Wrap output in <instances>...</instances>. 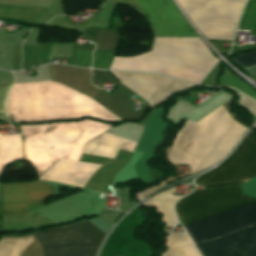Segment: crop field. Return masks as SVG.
<instances>
[{
    "label": "crop field",
    "instance_id": "1",
    "mask_svg": "<svg viewBox=\"0 0 256 256\" xmlns=\"http://www.w3.org/2000/svg\"><path fill=\"white\" fill-rule=\"evenodd\" d=\"M149 21L156 36L198 37L171 0H120ZM199 38H155L151 52L114 57L109 69L150 71L197 84L216 63Z\"/></svg>",
    "mask_w": 256,
    "mask_h": 256
},
{
    "label": "crop field",
    "instance_id": "2",
    "mask_svg": "<svg viewBox=\"0 0 256 256\" xmlns=\"http://www.w3.org/2000/svg\"><path fill=\"white\" fill-rule=\"evenodd\" d=\"M255 200L241 194L238 186L195 190L194 193L180 199L175 205V210L183 225ZM253 223H256V201L210 218L188 223L183 227L196 243L225 235Z\"/></svg>",
    "mask_w": 256,
    "mask_h": 256
},
{
    "label": "crop field",
    "instance_id": "3",
    "mask_svg": "<svg viewBox=\"0 0 256 256\" xmlns=\"http://www.w3.org/2000/svg\"><path fill=\"white\" fill-rule=\"evenodd\" d=\"M245 130L221 105L197 123L187 121L168 159L173 163H188L190 173L203 169L225 157Z\"/></svg>",
    "mask_w": 256,
    "mask_h": 256
},
{
    "label": "crop field",
    "instance_id": "4",
    "mask_svg": "<svg viewBox=\"0 0 256 256\" xmlns=\"http://www.w3.org/2000/svg\"><path fill=\"white\" fill-rule=\"evenodd\" d=\"M207 38L232 40L246 0H177Z\"/></svg>",
    "mask_w": 256,
    "mask_h": 256
},
{
    "label": "crop field",
    "instance_id": "5",
    "mask_svg": "<svg viewBox=\"0 0 256 256\" xmlns=\"http://www.w3.org/2000/svg\"><path fill=\"white\" fill-rule=\"evenodd\" d=\"M34 235L45 256H94L104 233L87 221Z\"/></svg>",
    "mask_w": 256,
    "mask_h": 256
},
{
    "label": "crop field",
    "instance_id": "6",
    "mask_svg": "<svg viewBox=\"0 0 256 256\" xmlns=\"http://www.w3.org/2000/svg\"><path fill=\"white\" fill-rule=\"evenodd\" d=\"M255 175L256 141L248 134L225 162L198 177L195 184L205 185L238 179L248 180Z\"/></svg>",
    "mask_w": 256,
    "mask_h": 256
},
{
    "label": "crop field",
    "instance_id": "7",
    "mask_svg": "<svg viewBox=\"0 0 256 256\" xmlns=\"http://www.w3.org/2000/svg\"><path fill=\"white\" fill-rule=\"evenodd\" d=\"M53 192L52 186L40 182L0 185L1 215L26 214L28 205L42 202Z\"/></svg>",
    "mask_w": 256,
    "mask_h": 256
},
{
    "label": "crop field",
    "instance_id": "8",
    "mask_svg": "<svg viewBox=\"0 0 256 256\" xmlns=\"http://www.w3.org/2000/svg\"><path fill=\"white\" fill-rule=\"evenodd\" d=\"M196 246L203 256H256V224Z\"/></svg>",
    "mask_w": 256,
    "mask_h": 256
},
{
    "label": "crop field",
    "instance_id": "9",
    "mask_svg": "<svg viewBox=\"0 0 256 256\" xmlns=\"http://www.w3.org/2000/svg\"><path fill=\"white\" fill-rule=\"evenodd\" d=\"M122 84L133 90L146 101L163 93L181 91L193 85L155 74L112 72Z\"/></svg>",
    "mask_w": 256,
    "mask_h": 256
},
{
    "label": "crop field",
    "instance_id": "10",
    "mask_svg": "<svg viewBox=\"0 0 256 256\" xmlns=\"http://www.w3.org/2000/svg\"><path fill=\"white\" fill-rule=\"evenodd\" d=\"M163 107L155 108L152 116L146 119L141 139L135 149V151H145L141 159L135 163V171L140 181L149 178L145 163L153 157V150L156 144L161 141L162 133L170 126L169 123L161 119V115L164 112Z\"/></svg>",
    "mask_w": 256,
    "mask_h": 256
},
{
    "label": "crop field",
    "instance_id": "11",
    "mask_svg": "<svg viewBox=\"0 0 256 256\" xmlns=\"http://www.w3.org/2000/svg\"><path fill=\"white\" fill-rule=\"evenodd\" d=\"M175 192V187L163 191L147 200L143 204H158V211L164 214V223L166 226H174L176 223V216L173 212V204L180 197H173L170 194Z\"/></svg>",
    "mask_w": 256,
    "mask_h": 256
},
{
    "label": "crop field",
    "instance_id": "12",
    "mask_svg": "<svg viewBox=\"0 0 256 256\" xmlns=\"http://www.w3.org/2000/svg\"><path fill=\"white\" fill-rule=\"evenodd\" d=\"M45 11L44 9L37 8L0 5V16L18 18L33 23H35Z\"/></svg>",
    "mask_w": 256,
    "mask_h": 256
},
{
    "label": "crop field",
    "instance_id": "13",
    "mask_svg": "<svg viewBox=\"0 0 256 256\" xmlns=\"http://www.w3.org/2000/svg\"><path fill=\"white\" fill-rule=\"evenodd\" d=\"M238 29L251 30L250 35L256 36V0L248 1L241 16Z\"/></svg>",
    "mask_w": 256,
    "mask_h": 256
},
{
    "label": "crop field",
    "instance_id": "14",
    "mask_svg": "<svg viewBox=\"0 0 256 256\" xmlns=\"http://www.w3.org/2000/svg\"><path fill=\"white\" fill-rule=\"evenodd\" d=\"M221 83L222 86L234 87L245 93L247 96L256 100V93L254 92V90L228 71H226L224 76L221 78Z\"/></svg>",
    "mask_w": 256,
    "mask_h": 256
},
{
    "label": "crop field",
    "instance_id": "15",
    "mask_svg": "<svg viewBox=\"0 0 256 256\" xmlns=\"http://www.w3.org/2000/svg\"><path fill=\"white\" fill-rule=\"evenodd\" d=\"M165 241L168 250L174 247L192 244L191 239L186 233H170V235L166 237Z\"/></svg>",
    "mask_w": 256,
    "mask_h": 256
},
{
    "label": "crop field",
    "instance_id": "16",
    "mask_svg": "<svg viewBox=\"0 0 256 256\" xmlns=\"http://www.w3.org/2000/svg\"><path fill=\"white\" fill-rule=\"evenodd\" d=\"M235 62L243 66V68L256 64V52L243 55L233 59ZM251 77L256 81V68L254 66L245 68Z\"/></svg>",
    "mask_w": 256,
    "mask_h": 256
},
{
    "label": "crop field",
    "instance_id": "17",
    "mask_svg": "<svg viewBox=\"0 0 256 256\" xmlns=\"http://www.w3.org/2000/svg\"><path fill=\"white\" fill-rule=\"evenodd\" d=\"M114 53L95 51L93 55L92 68L107 69Z\"/></svg>",
    "mask_w": 256,
    "mask_h": 256
},
{
    "label": "crop field",
    "instance_id": "18",
    "mask_svg": "<svg viewBox=\"0 0 256 256\" xmlns=\"http://www.w3.org/2000/svg\"><path fill=\"white\" fill-rule=\"evenodd\" d=\"M92 52L89 50L75 49L72 65L90 67Z\"/></svg>",
    "mask_w": 256,
    "mask_h": 256
},
{
    "label": "crop field",
    "instance_id": "19",
    "mask_svg": "<svg viewBox=\"0 0 256 256\" xmlns=\"http://www.w3.org/2000/svg\"><path fill=\"white\" fill-rule=\"evenodd\" d=\"M162 256H201L198 251L196 250L194 244L171 249L169 252L163 253Z\"/></svg>",
    "mask_w": 256,
    "mask_h": 256
},
{
    "label": "crop field",
    "instance_id": "20",
    "mask_svg": "<svg viewBox=\"0 0 256 256\" xmlns=\"http://www.w3.org/2000/svg\"><path fill=\"white\" fill-rule=\"evenodd\" d=\"M242 193L256 198V176L240 185Z\"/></svg>",
    "mask_w": 256,
    "mask_h": 256
},
{
    "label": "crop field",
    "instance_id": "21",
    "mask_svg": "<svg viewBox=\"0 0 256 256\" xmlns=\"http://www.w3.org/2000/svg\"><path fill=\"white\" fill-rule=\"evenodd\" d=\"M239 95L242 96L239 104L245 106L252 114L256 116V103L249 99L248 97L238 93Z\"/></svg>",
    "mask_w": 256,
    "mask_h": 256
},
{
    "label": "crop field",
    "instance_id": "22",
    "mask_svg": "<svg viewBox=\"0 0 256 256\" xmlns=\"http://www.w3.org/2000/svg\"><path fill=\"white\" fill-rule=\"evenodd\" d=\"M165 184H166V183L161 182L159 185L149 187V188H147V189H145V190H143V191L137 193L135 196H136V198L140 201V200H142L143 198H145V197H143V196L149 195L150 193H152V192L158 190L159 188L165 186Z\"/></svg>",
    "mask_w": 256,
    "mask_h": 256
},
{
    "label": "crop field",
    "instance_id": "23",
    "mask_svg": "<svg viewBox=\"0 0 256 256\" xmlns=\"http://www.w3.org/2000/svg\"><path fill=\"white\" fill-rule=\"evenodd\" d=\"M171 94H172V93L167 94V95L160 96V97H158V98H156V99L150 101L149 103H150V104L152 105V107H153V106H155V105H157V104H159V103H161V102L167 100V99L171 96Z\"/></svg>",
    "mask_w": 256,
    "mask_h": 256
},
{
    "label": "crop field",
    "instance_id": "24",
    "mask_svg": "<svg viewBox=\"0 0 256 256\" xmlns=\"http://www.w3.org/2000/svg\"><path fill=\"white\" fill-rule=\"evenodd\" d=\"M236 184H243L242 181H234V182H229V183H223V184H220L221 187H224V186H230V185H236Z\"/></svg>",
    "mask_w": 256,
    "mask_h": 256
},
{
    "label": "crop field",
    "instance_id": "25",
    "mask_svg": "<svg viewBox=\"0 0 256 256\" xmlns=\"http://www.w3.org/2000/svg\"><path fill=\"white\" fill-rule=\"evenodd\" d=\"M220 187L219 184L203 186V189Z\"/></svg>",
    "mask_w": 256,
    "mask_h": 256
},
{
    "label": "crop field",
    "instance_id": "26",
    "mask_svg": "<svg viewBox=\"0 0 256 256\" xmlns=\"http://www.w3.org/2000/svg\"><path fill=\"white\" fill-rule=\"evenodd\" d=\"M3 231V229H2V227H1V225H0V232H2Z\"/></svg>",
    "mask_w": 256,
    "mask_h": 256
},
{
    "label": "crop field",
    "instance_id": "27",
    "mask_svg": "<svg viewBox=\"0 0 256 256\" xmlns=\"http://www.w3.org/2000/svg\"><path fill=\"white\" fill-rule=\"evenodd\" d=\"M255 127H256V125H255Z\"/></svg>",
    "mask_w": 256,
    "mask_h": 256
}]
</instances>
